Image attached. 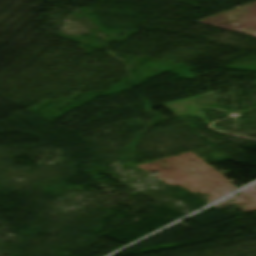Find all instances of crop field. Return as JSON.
<instances>
[{
  "instance_id": "1",
  "label": "crop field",
  "mask_w": 256,
  "mask_h": 256,
  "mask_svg": "<svg viewBox=\"0 0 256 256\" xmlns=\"http://www.w3.org/2000/svg\"><path fill=\"white\" fill-rule=\"evenodd\" d=\"M255 22L256 2L199 21V23L231 31L238 30Z\"/></svg>"
}]
</instances>
